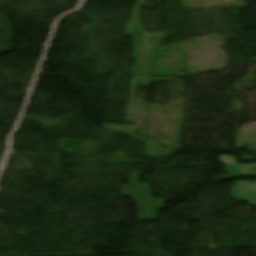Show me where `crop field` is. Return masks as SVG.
Segmentation results:
<instances>
[{"label":"crop field","instance_id":"obj_2","mask_svg":"<svg viewBox=\"0 0 256 256\" xmlns=\"http://www.w3.org/2000/svg\"><path fill=\"white\" fill-rule=\"evenodd\" d=\"M222 163H226L227 171L230 175L217 178L216 181L230 180L235 177L256 176V164L241 165L236 164V157L221 156Z\"/></svg>","mask_w":256,"mask_h":256},{"label":"crop field","instance_id":"obj_3","mask_svg":"<svg viewBox=\"0 0 256 256\" xmlns=\"http://www.w3.org/2000/svg\"><path fill=\"white\" fill-rule=\"evenodd\" d=\"M232 197L256 205V182H238L232 186Z\"/></svg>","mask_w":256,"mask_h":256},{"label":"crop field","instance_id":"obj_1","mask_svg":"<svg viewBox=\"0 0 256 256\" xmlns=\"http://www.w3.org/2000/svg\"><path fill=\"white\" fill-rule=\"evenodd\" d=\"M140 172H133L131 177V184L122 186L121 195H131L134 202L138 204L139 221L144 220H157V210L165 207V202L155 201H169L172 199H154L149 183L139 184ZM149 191V193H145ZM175 199V198H173ZM141 202H155V203H144Z\"/></svg>","mask_w":256,"mask_h":256}]
</instances>
